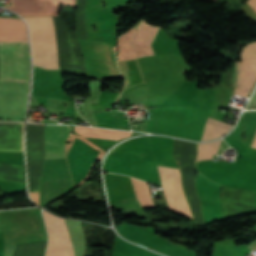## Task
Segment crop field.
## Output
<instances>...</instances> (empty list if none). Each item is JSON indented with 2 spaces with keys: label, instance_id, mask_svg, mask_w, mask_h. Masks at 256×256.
<instances>
[{
  "label": "crop field",
  "instance_id": "733c2abd",
  "mask_svg": "<svg viewBox=\"0 0 256 256\" xmlns=\"http://www.w3.org/2000/svg\"><path fill=\"white\" fill-rule=\"evenodd\" d=\"M0 232H2V230H1V224H0Z\"/></svg>",
  "mask_w": 256,
  "mask_h": 256
},
{
  "label": "crop field",
  "instance_id": "e52e79f7",
  "mask_svg": "<svg viewBox=\"0 0 256 256\" xmlns=\"http://www.w3.org/2000/svg\"><path fill=\"white\" fill-rule=\"evenodd\" d=\"M240 63H236L235 95L248 97L256 80V42L247 45L241 53Z\"/></svg>",
  "mask_w": 256,
  "mask_h": 256
},
{
  "label": "crop field",
  "instance_id": "ac0d7876",
  "mask_svg": "<svg viewBox=\"0 0 256 256\" xmlns=\"http://www.w3.org/2000/svg\"><path fill=\"white\" fill-rule=\"evenodd\" d=\"M28 40L24 21L0 17V41ZM28 42H0V80L30 82Z\"/></svg>",
  "mask_w": 256,
  "mask_h": 256
},
{
  "label": "crop field",
  "instance_id": "412701ff",
  "mask_svg": "<svg viewBox=\"0 0 256 256\" xmlns=\"http://www.w3.org/2000/svg\"><path fill=\"white\" fill-rule=\"evenodd\" d=\"M143 22V20L138 22L132 28V30L137 31ZM159 28L160 27H152L144 23L135 35V31L132 30L122 34L119 38V60L135 58L137 56L144 57L148 55H154V52L151 48V42ZM130 40L137 56L132 48Z\"/></svg>",
  "mask_w": 256,
  "mask_h": 256
},
{
  "label": "crop field",
  "instance_id": "8a807250",
  "mask_svg": "<svg viewBox=\"0 0 256 256\" xmlns=\"http://www.w3.org/2000/svg\"><path fill=\"white\" fill-rule=\"evenodd\" d=\"M29 26L33 64L46 69H63L68 66H84L77 35L69 31L65 22L53 17L24 18Z\"/></svg>",
  "mask_w": 256,
  "mask_h": 256
},
{
  "label": "crop field",
  "instance_id": "22f410ed",
  "mask_svg": "<svg viewBox=\"0 0 256 256\" xmlns=\"http://www.w3.org/2000/svg\"><path fill=\"white\" fill-rule=\"evenodd\" d=\"M247 3L256 11V0H248Z\"/></svg>",
  "mask_w": 256,
  "mask_h": 256
},
{
  "label": "crop field",
  "instance_id": "5a996713",
  "mask_svg": "<svg viewBox=\"0 0 256 256\" xmlns=\"http://www.w3.org/2000/svg\"><path fill=\"white\" fill-rule=\"evenodd\" d=\"M69 133L67 126L45 125V159L65 157L64 141Z\"/></svg>",
  "mask_w": 256,
  "mask_h": 256
},
{
  "label": "crop field",
  "instance_id": "3316defc",
  "mask_svg": "<svg viewBox=\"0 0 256 256\" xmlns=\"http://www.w3.org/2000/svg\"><path fill=\"white\" fill-rule=\"evenodd\" d=\"M75 131L83 136L119 140L132 135L129 131L99 129L76 126Z\"/></svg>",
  "mask_w": 256,
  "mask_h": 256
},
{
  "label": "crop field",
  "instance_id": "d8731c3e",
  "mask_svg": "<svg viewBox=\"0 0 256 256\" xmlns=\"http://www.w3.org/2000/svg\"><path fill=\"white\" fill-rule=\"evenodd\" d=\"M59 5L75 6V0H12L11 9L22 17L57 16Z\"/></svg>",
  "mask_w": 256,
  "mask_h": 256
},
{
  "label": "crop field",
  "instance_id": "dd49c442",
  "mask_svg": "<svg viewBox=\"0 0 256 256\" xmlns=\"http://www.w3.org/2000/svg\"><path fill=\"white\" fill-rule=\"evenodd\" d=\"M49 234L46 256H74L64 219L42 211Z\"/></svg>",
  "mask_w": 256,
  "mask_h": 256
},
{
  "label": "crop field",
  "instance_id": "5142ce71",
  "mask_svg": "<svg viewBox=\"0 0 256 256\" xmlns=\"http://www.w3.org/2000/svg\"><path fill=\"white\" fill-rule=\"evenodd\" d=\"M251 147L256 149V135L254 137V140H253V143H252Z\"/></svg>",
  "mask_w": 256,
  "mask_h": 256
},
{
  "label": "crop field",
  "instance_id": "f4fd0767",
  "mask_svg": "<svg viewBox=\"0 0 256 256\" xmlns=\"http://www.w3.org/2000/svg\"><path fill=\"white\" fill-rule=\"evenodd\" d=\"M157 169L170 210L193 218L181 185L179 169L163 167H157Z\"/></svg>",
  "mask_w": 256,
  "mask_h": 256
},
{
  "label": "crop field",
  "instance_id": "cbeb9de0",
  "mask_svg": "<svg viewBox=\"0 0 256 256\" xmlns=\"http://www.w3.org/2000/svg\"><path fill=\"white\" fill-rule=\"evenodd\" d=\"M247 248L256 250V241L250 243Z\"/></svg>",
  "mask_w": 256,
  "mask_h": 256
},
{
  "label": "crop field",
  "instance_id": "d1516ede",
  "mask_svg": "<svg viewBox=\"0 0 256 256\" xmlns=\"http://www.w3.org/2000/svg\"><path fill=\"white\" fill-rule=\"evenodd\" d=\"M220 141H216V142H212V143L199 144L198 159L197 160H203V159L211 158L213 151H215V152L217 151ZM215 152L213 154H216Z\"/></svg>",
  "mask_w": 256,
  "mask_h": 256
},
{
  "label": "crop field",
  "instance_id": "d9b57169",
  "mask_svg": "<svg viewBox=\"0 0 256 256\" xmlns=\"http://www.w3.org/2000/svg\"><path fill=\"white\" fill-rule=\"evenodd\" d=\"M43 121H53V120H43ZM53 122H55V121H53Z\"/></svg>",
  "mask_w": 256,
  "mask_h": 256
},
{
  "label": "crop field",
  "instance_id": "34b2d1b8",
  "mask_svg": "<svg viewBox=\"0 0 256 256\" xmlns=\"http://www.w3.org/2000/svg\"><path fill=\"white\" fill-rule=\"evenodd\" d=\"M196 187L202 203L204 220L209 221L223 216L237 214L255 207V192L223 186L222 198L219 197L221 186L207 180L197 172Z\"/></svg>",
  "mask_w": 256,
  "mask_h": 256
},
{
  "label": "crop field",
  "instance_id": "4a817a6b",
  "mask_svg": "<svg viewBox=\"0 0 256 256\" xmlns=\"http://www.w3.org/2000/svg\"><path fill=\"white\" fill-rule=\"evenodd\" d=\"M152 119V118H151Z\"/></svg>",
  "mask_w": 256,
  "mask_h": 256
},
{
  "label": "crop field",
  "instance_id": "28ad6ade",
  "mask_svg": "<svg viewBox=\"0 0 256 256\" xmlns=\"http://www.w3.org/2000/svg\"><path fill=\"white\" fill-rule=\"evenodd\" d=\"M232 126L233 125L209 118L206 123L202 141L222 136L231 130Z\"/></svg>",
  "mask_w": 256,
  "mask_h": 256
}]
</instances>
